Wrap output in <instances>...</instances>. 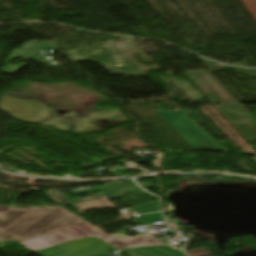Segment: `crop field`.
I'll list each match as a JSON object with an SVG mask.
<instances>
[{"label": "crop field", "mask_w": 256, "mask_h": 256, "mask_svg": "<svg viewBox=\"0 0 256 256\" xmlns=\"http://www.w3.org/2000/svg\"><path fill=\"white\" fill-rule=\"evenodd\" d=\"M83 221L60 207L29 209L0 207V241L22 242Z\"/></svg>", "instance_id": "1"}, {"label": "crop field", "mask_w": 256, "mask_h": 256, "mask_svg": "<svg viewBox=\"0 0 256 256\" xmlns=\"http://www.w3.org/2000/svg\"><path fill=\"white\" fill-rule=\"evenodd\" d=\"M42 47L46 48H56L53 43H44V42H29L25 43L21 50H14L13 53L7 59V65L3 68V72L10 73L8 69L9 61L16 59L20 56L33 57L37 51H40Z\"/></svg>", "instance_id": "2"}, {"label": "crop field", "mask_w": 256, "mask_h": 256, "mask_svg": "<svg viewBox=\"0 0 256 256\" xmlns=\"http://www.w3.org/2000/svg\"><path fill=\"white\" fill-rule=\"evenodd\" d=\"M72 206L80 215L92 209L114 208V205L110 203L104 196L97 200L74 204Z\"/></svg>", "instance_id": "3"}, {"label": "crop field", "mask_w": 256, "mask_h": 256, "mask_svg": "<svg viewBox=\"0 0 256 256\" xmlns=\"http://www.w3.org/2000/svg\"><path fill=\"white\" fill-rule=\"evenodd\" d=\"M128 192L130 193V195H134V194H139L143 191L133 182L125 181L124 183L118 185L116 188H114L112 191H110L105 195L106 197L114 200L123 196Z\"/></svg>", "instance_id": "4"}, {"label": "crop field", "mask_w": 256, "mask_h": 256, "mask_svg": "<svg viewBox=\"0 0 256 256\" xmlns=\"http://www.w3.org/2000/svg\"><path fill=\"white\" fill-rule=\"evenodd\" d=\"M46 194L50 197V199L54 203H56L58 205H67V204H71V203H75V202H79V201L97 198V196L101 193H99L91 198L75 200V201H72L67 194H58V193H46Z\"/></svg>", "instance_id": "5"}, {"label": "crop field", "mask_w": 256, "mask_h": 256, "mask_svg": "<svg viewBox=\"0 0 256 256\" xmlns=\"http://www.w3.org/2000/svg\"><path fill=\"white\" fill-rule=\"evenodd\" d=\"M129 209H131V210L136 209L138 214L152 212V211H160L158 200L149 202V203H145V204H141V205L129 208Z\"/></svg>", "instance_id": "6"}, {"label": "crop field", "mask_w": 256, "mask_h": 256, "mask_svg": "<svg viewBox=\"0 0 256 256\" xmlns=\"http://www.w3.org/2000/svg\"><path fill=\"white\" fill-rule=\"evenodd\" d=\"M203 250H205V249L204 248H200V249L188 251L187 254H188V256H205V255H209L210 254L208 249H206L207 252H205Z\"/></svg>", "instance_id": "7"}, {"label": "crop field", "mask_w": 256, "mask_h": 256, "mask_svg": "<svg viewBox=\"0 0 256 256\" xmlns=\"http://www.w3.org/2000/svg\"><path fill=\"white\" fill-rule=\"evenodd\" d=\"M160 215H161L160 213H157V214H150V215L139 216V217H136V218H135V220L133 221V223H134V224H137V223H140V222L149 220V219H151V218H154V217H157V216H160Z\"/></svg>", "instance_id": "8"}, {"label": "crop field", "mask_w": 256, "mask_h": 256, "mask_svg": "<svg viewBox=\"0 0 256 256\" xmlns=\"http://www.w3.org/2000/svg\"><path fill=\"white\" fill-rule=\"evenodd\" d=\"M120 182L122 181H116V182H109L106 185H104L103 187L99 188L100 191H102L103 193L106 192L107 190H109L110 188L118 185Z\"/></svg>", "instance_id": "9"}, {"label": "crop field", "mask_w": 256, "mask_h": 256, "mask_svg": "<svg viewBox=\"0 0 256 256\" xmlns=\"http://www.w3.org/2000/svg\"><path fill=\"white\" fill-rule=\"evenodd\" d=\"M162 220H164V219H163V217L160 216V217L151 219V220H149V221L140 223V224H138V225L150 224V223L157 222V221H162Z\"/></svg>", "instance_id": "10"}, {"label": "crop field", "mask_w": 256, "mask_h": 256, "mask_svg": "<svg viewBox=\"0 0 256 256\" xmlns=\"http://www.w3.org/2000/svg\"><path fill=\"white\" fill-rule=\"evenodd\" d=\"M24 66H26V64H19V65H15V66H13V67H10V66H9V69H10V72L12 73V72H14V71H16V70H18V69L24 67Z\"/></svg>", "instance_id": "11"}, {"label": "crop field", "mask_w": 256, "mask_h": 256, "mask_svg": "<svg viewBox=\"0 0 256 256\" xmlns=\"http://www.w3.org/2000/svg\"><path fill=\"white\" fill-rule=\"evenodd\" d=\"M144 189L150 188L153 184L150 183H143V182H138Z\"/></svg>", "instance_id": "12"}, {"label": "crop field", "mask_w": 256, "mask_h": 256, "mask_svg": "<svg viewBox=\"0 0 256 256\" xmlns=\"http://www.w3.org/2000/svg\"><path fill=\"white\" fill-rule=\"evenodd\" d=\"M34 60L40 61V62L44 63L46 66H48V67H52L51 65H49L50 62L47 61V60H44V59H34Z\"/></svg>", "instance_id": "13"}]
</instances>
